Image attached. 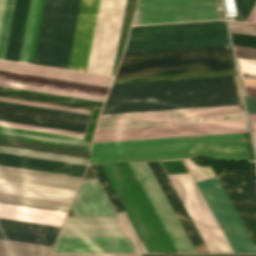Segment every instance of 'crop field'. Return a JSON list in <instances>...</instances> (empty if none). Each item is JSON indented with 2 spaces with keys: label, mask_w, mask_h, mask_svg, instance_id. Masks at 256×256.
Instances as JSON below:
<instances>
[{
  "label": "crop field",
  "mask_w": 256,
  "mask_h": 256,
  "mask_svg": "<svg viewBox=\"0 0 256 256\" xmlns=\"http://www.w3.org/2000/svg\"><path fill=\"white\" fill-rule=\"evenodd\" d=\"M229 45L224 20L131 27L125 52ZM234 69L230 46L125 53L116 77Z\"/></svg>",
  "instance_id": "1"
},
{
  "label": "crop field",
  "mask_w": 256,
  "mask_h": 256,
  "mask_svg": "<svg viewBox=\"0 0 256 256\" xmlns=\"http://www.w3.org/2000/svg\"><path fill=\"white\" fill-rule=\"evenodd\" d=\"M101 167L148 252H195L146 163Z\"/></svg>",
  "instance_id": "2"
},
{
  "label": "crop field",
  "mask_w": 256,
  "mask_h": 256,
  "mask_svg": "<svg viewBox=\"0 0 256 256\" xmlns=\"http://www.w3.org/2000/svg\"><path fill=\"white\" fill-rule=\"evenodd\" d=\"M243 105L102 115L94 143L248 132Z\"/></svg>",
  "instance_id": "3"
},
{
  "label": "crop field",
  "mask_w": 256,
  "mask_h": 256,
  "mask_svg": "<svg viewBox=\"0 0 256 256\" xmlns=\"http://www.w3.org/2000/svg\"><path fill=\"white\" fill-rule=\"evenodd\" d=\"M240 104L234 76L112 84L102 114Z\"/></svg>",
  "instance_id": "4"
},
{
  "label": "crop field",
  "mask_w": 256,
  "mask_h": 256,
  "mask_svg": "<svg viewBox=\"0 0 256 256\" xmlns=\"http://www.w3.org/2000/svg\"><path fill=\"white\" fill-rule=\"evenodd\" d=\"M213 157L249 160L243 133L94 144L90 163Z\"/></svg>",
  "instance_id": "5"
},
{
  "label": "crop field",
  "mask_w": 256,
  "mask_h": 256,
  "mask_svg": "<svg viewBox=\"0 0 256 256\" xmlns=\"http://www.w3.org/2000/svg\"><path fill=\"white\" fill-rule=\"evenodd\" d=\"M80 1H45L33 63L67 69Z\"/></svg>",
  "instance_id": "6"
},
{
  "label": "crop field",
  "mask_w": 256,
  "mask_h": 256,
  "mask_svg": "<svg viewBox=\"0 0 256 256\" xmlns=\"http://www.w3.org/2000/svg\"><path fill=\"white\" fill-rule=\"evenodd\" d=\"M126 0H100L86 72L111 76Z\"/></svg>",
  "instance_id": "7"
},
{
  "label": "crop field",
  "mask_w": 256,
  "mask_h": 256,
  "mask_svg": "<svg viewBox=\"0 0 256 256\" xmlns=\"http://www.w3.org/2000/svg\"><path fill=\"white\" fill-rule=\"evenodd\" d=\"M217 0H139L132 25L221 19Z\"/></svg>",
  "instance_id": "8"
},
{
  "label": "crop field",
  "mask_w": 256,
  "mask_h": 256,
  "mask_svg": "<svg viewBox=\"0 0 256 256\" xmlns=\"http://www.w3.org/2000/svg\"><path fill=\"white\" fill-rule=\"evenodd\" d=\"M209 252H233L191 174L168 176Z\"/></svg>",
  "instance_id": "9"
},
{
  "label": "crop field",
  "mask_w": 256,
  "mask_h": 256,
  "mask_svg": "<svg viewBox=\"0 0 256 256\" xmlns=\"http://www.w3.org/2000/svg\"><path fill=\"white\" fill-rule=\"evenodd\" d=\"M29 0H16L4 59L17 61ZM44 0H31L18 61L32 63Z\"/></svg>",
  "instance_id": "10"
},
{
  "label": "crop field",
  "mask_w": 256,
  "mask_h": 256,
  "mask_svg": "<svg viewBox=\"0 0 256 256\" xmlns=\"http://www.w3.org/2000/svg\"><path fill=\"white\" fill-rule=\"evenodd\" d=\"M218 180L256 246L255 171L223 170Z\"/></svg>",
  "instance_id": "11"
},
{
  "label": "crop field",
  "mask_w": 256,
  "mask_h": 256,
  "mask_svg": "<svg viewBox=\"0 0 256 256\" xmlns=\"http://www.w3.org/2000/svg\"><path fill=\"white\" fill-rule=\"evenodd\" d=\"M234 252H256V248L219 183L199 188Z\"/></svg>",
  "instance_id": "12"
},
{
  "label": "crop field",
  "mask_w": 256,
  "mask_h": 256,
  "mask_svg": "<svg viewBox=\"0 0 256 256\" xmlns=\"http://www.w3.org/2000/svg\"><path fill=\"white\" fill-rule=\"evenodd\" d=\"M0 165L52 172V173H59V174L72 175V176H79V177L83 176V174L81 173L43 168V167H37V166H30V165L11 163V162H5V161H0ZM79 177L55 175V174H48V173L0 166V179L67 188V189H73V190L77 189L81 181V178ZM7 180H2V181H7ZM13 181H9V182H13ZM20 182H16V183H20ZM27 183H23V184H27ZM33 184H30V185H33ZM40 185H36V186H40ZM47 186H42V187H47ZM53 187H48V188H53ZM60 188H54V189H60ZM67 189H60V190L75 192L73 190H67Z\"/></svg>",
  "instance_id": "13"
},
{
  "label": "crop field",
  "mask_w": 256,
  "mask_h": 256,
  "mask_svg": "<svg viewBox=\"0 0 256 256\" xmlns=\"http://www.w3.org/2000/svg\"><path fill=\"white\" fill-rule=\"evenodd\" d=\"M0 191L71 202L74 194L59 190L0 182ZM0 192V201L67 211L70 203Z\"/></svg>",
  "instance_id": "14"
},
{
  "label": "crop field",
  "mask_w": 256,
  "mask_h": 256,
  "mask_svg": "<svg viewBox=\"0 0 256 256\" xmlns=\"http://www.w3.org/2000/svg\"><path fill=\"white\" fill-rule=\"evenodd\" d=\"M0 152L86 165L88 157L0 144ZM0 153V159L84 172L86 166Z\"/></svg>",
  "instance_id": "15"
},
{
  "label": "crop field",
  "mask_w": 256,
  "mask_h": 256,
  "mask_svg": "<svg viewBox=\"0 0 256 256\" xmlns=\"http://www.w3.org/2000/svg\"><path fill=\"white\" fill-rule=\"evenodd\" d=\"M99 0H82L68 69L86 70Z\"/></svg>",
  "instance_id": "16"
},
{
  "label": "crop field",
  "mask_w": 256,
  "mask_h": 256,
  "mask_svg": "<svg viewBox=\"0 0 256 256\" xmlns=\"http://www.w3.org/2000/svg\"><path fill=\"white\" fill-rule=\"evenodd\" d=\"M51 252H136L129 237H58Z\"/></svg>",
  "instance_id": "17"
},
{
  "label": "crop field",
  "mask_w": 256,
  "mask_h": 256,
  "mask_svg": "<svg viewBox=\"0 0 256 256\" xmlns=\"http://www.w3.org/2000/svg\"><path fill=\"white\" fill-rule=\"evenodd\" d=\"M58 236H127L115 217H67Z\"/></svg>",
  "instance_id": "18"
},
{
  "label": "crop field",
  "mask_w": 256,
  "mask_h": 256,
  "mask_svg": "<svg viewBox=\"0 0 256 256\" xmlns=\"http://www.w3.org/2000/svg\"><path fill=\"white\" fill-rule=\"evenodd\" d=\"M196 252H208L159 162L147 163Z\"/></svg>",
  "instance_id": "19"
},
{
  "label": "crop field",
  "mask_w": 256,
  "mask_h": 256,
  "mask_svg": "<svg viewBox=\"0 0 256 256\" xmlns=\"http://www.w3.org/2000/svg\"><path fill=\"white\" fill-rule=\"evenodd\" d=\"M72 209L76 216H116L97 179L83 182Z\"/></svg>",
  "instance_id": "20"
},
{
  "label": "crop field",
  "mask_w": 256,
  "mask_h": 256,
  "mask_svg": "<svg viewBox=\"0 0 256 256\" xmlns=\"http://www.w3.org/2000/svg\"><path fill=\"white\" fill-rule=\"evenodd\" d=\"M60 228L0 219V238L51 246Z\"/></svg>",
  "instance_id": "21"
},
{
  "label": "crop field",
  "mask_w": 256,
  "mask_h": 256,
  "mask_svg": "<svg viewBox=\"0 0 256 256\" xmlns=\"http://www.w3.org/2000/svg\"><path fill=\"white\" fill-rule=\"evenodd\" d=\"M0 70L109 87L113 78L0 60Z\"/></svg>",
  "instance_id": "22"
},
{
  "label": "crop field",
  "mask_w": 256,
  "mask_h": 256,
  "mask_svg": "<svg viewBox=\"0 0 256 256\" xmlns=\"http://www.w3.org/2000/svg\"><path fill=\"white\" fill-rule=\"evenodd\" d=\"M9 76V78H7ZM0 80L105 97L109 88L0 71Z\"/></svg>",
  "instance_id": "23"
},
{
  "label": "crop field",
  "mask_w": 256,
  "mask_h": 256,
  "mask_svg": "<svg viewBox=\"0 0 256 256\" xmlns=\"http://www.w3.org/2000/svg\"><path fill=\"white\" fill-rule=\"evenodd\" d=\"M0 143L66 152L85 156H87L90 146L87 144L54 140L2 131H0Z\"/></svg>",
  "instance_id": "24"
},
{
  "label": "crop field",
  "mask_w": 256,
  "mask_h": 256,
  "mask_svg": "<svg viewBox=\"0 0 256 256\" xmlns=\"http://www.w3.org/2000/svg\"><path fill=\"white\" fill-rule=\"evenodd\" d=\"M6 203V202H5ZM0 203V218L60 227L66 213Z\"/></svg>",
  "instance_id": "25"
},
{
  "label": "crop field",
  "mask_w": 256,
  "mask_h": 256,
  "mask_svg": "<svg viewBox=\"0 0 256 256\" xmlns=\"http://www.w3.org/2000/svg\"><path fill=\"white\" fill-rule=\"evenodd\" d=\"M93 170L95 171L100 183L102 184L107 196L109 197L112 205L114 206L116 212L118 211H122L123 208L118 200V198L116 197L111 185L109 184L105 174L103 173L100 165H91ZM122 221V223L124 224L125 228L127 229L136 249L138 250V252H147L145 246L143 245L140 237L138 236L136 230L134 229L131 221L129 220L127 214L125 211L123 212H119L117 213Z\"/></svg>",
  "instance_id": "26"
},
{
  "label": "crop field",
  "mask_w": 256,
  "mask_h": 256,
  "mask_svg": "<svg viewBox=\"0 0 256 256\" xmlns=\"http://www.w3.org/2000/svg\"><path fill=\"white\" fill-rule=\"evenodd\" d=\"M0 120L84 133L86 125L0 112Z\"/></svg>",
  "instance_id": "27"
},
{
  "label": "crop field",
  "mask_w": 256,
  "mask_h": 256,
  "mask_svg": "<svg viewBox=\"0 0 256 256\" xmlns=\"http://www.w3.org/2000/svg\"><path fill=\"white\" fill-rule=\"evenodd\" d=\"M50 247L0 239V256H46Z\"/></svg>",
  "instance_id": "28"
},
{
  "label": "crop field",
  "mask_w": 256,
  "mask_h": 256,
  "mask_svg": "<svg viewBox=\"0 0 256 256\" xmlns=\"http://www.w3.org/2000/svg\"><path fill=\"white\" fill-rule=\"evenodd\" d=\"M227 75H236V74H235L234 70H227V71H212V72H197V73L122 77V78H115L113 83L150 81V80H165V79H181V78H196V77H211V76H227Z\"/></svg>",
  "instance_id": "29"
},
{
  "label": "crop field",
  "mask_w": 256,
  "mask_h": 256,
  "mask_svg": "<svg viewBox=\"0 0 256 256\" xmlns=\"http://www.w3.org/2000/svg\"><path fill=\"white\" fill-rule=\"evenodd\" d=\"M240 75L244 79L256 80V49L234 46Z\"/></svg>",
  "instance_id": "30"
},
{
  "label": "crop field",
  "mask_w": 256,
  "mask_h": 256,
  "mask_svg": "<svg viewBox=\"0 0 256 256\" xmlns=\"http://www.w3.org/2000/svg\"><path fill=\"white\" fill-rule=\"evenodd\" d=\"M231 32L256 35V25L229 21ZM231 33L233 43L237 46L256 48V36Z\"/></svg>",
  "instance_id": "31"
},
{
  "label": "crop field",
  "mask_w": 256,
  "mask_h": 256,
  "mask_svg": "<svg viewBox=\"0 0 256 256\" xmlns=\"http://www.w3.org/2000/svg\"><path fill=\"white\" fill-rule=\"evenodd\" d=\"M14 0H0V59H3Z\"/></svg>",
  "instance_id": "32"
},
{
  "label": "crop field",
  "mask_w": 256,
  "mask_h": 256,
  "mask_svg": "<svg viewBox=\"0 0 256 256\" xmlns=\"http://www.w3.org/2000/svg\"><path fill=\"white\" fill-rule=\"evenodd\" d=\"M0 86L104 102L105 98L0 82Z\"/></svg>",
  "instance_id": "33"
},
{
  "label": "crop field",
  "mask_w": 256,
  "mask_h": 256,
  "mask_svg": "<svg viewBox=\"0 0 256 256\" xmlns=\"http://www.w3.org/2000/svg\"><path fill=\"white\" fill-rule=\"evenodd\" d=\"M0 111L18 113V114H24V115H31V116H37V117H44V118H51V119H57V120H64V121H70V122H77V123H83V124H86L88 121L85 119L65 117V116L39 113V112H33V111H26V110H19V109L6 108V107H0Z\"/></svg>",
  "instance_id": "34"
},
{
  "label": "crop field",
  "mask_w": 256,
  "mask_h": 256,
  "mask_svg": "<svg viewBox=\"0 0 256 256\" xmlns=\"http://www.w3.org/2000/svg\"><path fill=\"white\" fill-rule=\"evenodd\" d=\"M0 106L33 110V111L46 112V113L59 114V115L72 116V117H79V118H85V119H88V117H89V115H86V114L66 112V111L40 108V107H34V106H27V105H20V104L7 103V102H1V101H0Z\"/></svg>",
  "instance_id": "35"
},
{
  "label": "crop field",
  "mask_w": 256,
  "mask_h": 256,
  "mask_svg": "<svg viewBox=\"0 0 256 256\" xmlns=\"http://www.w3.org/2000/svg\"><path fill=\"white\" fill-rule=\"evenodd\" d=\"M0 96H6V97H12V98H18V99H25V100H31V101H37V102H44V103H50V104H56V105H63V106H69V107H76V108H82V109H88V110H91V108H92V106H89V105L69 103V102L56 101V100H49V99L23 96V95H16V94L3 93V92H0Z\"/></svg>",
  "instance_id": "36"
},
{
  "label": "crop field",
  "mask_w": 256,
  "mask_h": 256,
  "mask_svg": "<svg viewBox=\"0 0 256 256\" xmlns=\"http://www.w3.org/2000/svg\"><path fill=\"white\" fill-rule=\"evenodd\" d=\"M245 95L256 96V81L241 79ZM245 96L248 112L256 113V97Z\"/></svg>",
  "instance_id": "37"
},
{
  "label": "crop field",
  "mask_w": 256,
  "mask_h": 256,
  "mask_svg": "<svg viewBox=\"0 0 256 256\" xmlns=\"http://www.w3.org/2000/svg\"><path fill=\"white\" fill-rule=\"evenodd\" d=\"M0 125L83 138L84 134L0 121Z\"/></svg>",
  "instance_id": "38"
},
{
  "label": "crop field",
  "mask_w": 256,
  "mask_h": 256,
  "mask_svg": "<svg viewBox=\"0 0 256 256\" xmlns=\"http://www.w3.org/2000/svg\"><path fill=\"white\" fill-rule=\"evenodd\" d=\"M0 100L1 101L14 102V103L27 104V105L40 106V107L54 108V109H60V110H67V111H73V112H80V113H86V114L90 113V111H88V110L69 108V107H63V106H56V105L37 103V102H31V101H25V100H18V99H12V98L0 97Z\"/></svg>",
  "instance_id": "39"
},
{
  "label": "crop field",
  "mask_w": 256,
  "mask_h": 256,
  "mask_svg": "<svg viewBox=\"0 0 256 256\" xmlns=\"http://www.w3.org/2000/svg\"><path fill=\"white\" fill-rule=\"evenodd\" d=\"M256 0H235L238 15L235 20L245 21Z\"/></svg>",
  "instance_id": "40"
},
{
  "label": "crop field",
  "mask_w": 256,
  "mask_h": 256,
  "mask_svg": "<svg viewBox=\"0 0 256 256\" xmlns=\"http://www.w3.org/2000/svg\"><path fill=\"white\" fill-rule=\"evenodd\" d=\"M0 130H7V131H13V132H20V133H26V134H33V135H39V136L52 137V138L72 140V141H78V142L82 141V139H80V138L67 137V136H61V135H54V134H48V133H41V132H34V131L21 130V129H15V128H8V127H2V126H0Z\"/></svg>",
  "instance_id": "41"
},
{
  "label": "crop field",
  "mask_w": 256,
  "mask_h": 256,
  "mask_svg": "<svg viewBox=\"0 0 256 256\" xmlns=\"http://www.w3.org/2000/svg\"><path fill=\"white\" fill-rule=\"evenodd\" d=\"M49 256H138L137 253H50Z\"/></svg>",
  "instance_id": "42"
},
{
  "label": "crop field",
  "mask_w": 256,
  "mask_h": 256,
  "mask_svg": "<svg viewBox=\"0 0 256 256\" xmlns=\"http://www.w3.org/2000/svg\"><path fill=\"white\" fill-rule=\"evenodd\" d=\"M142 256H256V255H213V254H141Z\"/></svg>",
  "instance_id": "43"
},
{
  "label": "crop field",
  "mask_w": 256,
  "mask_h": 256,
  "mask_svg": "<svg viewBox=\"0 0 256 256\" xmlns=\"http://www.w3.org/2000/svg\"><path fill=\"white\" fill-rule=\"evenodd\" d=\"M246 21L248 22H256V4L254 8L252 9L251 13L247 17Z\"/></svg>",
  "instance_id": "44"
},
{
  "label": "crop field",
  "mask_w": 256,
  "mask_h": 256,
  "mask_svg": "<svg viewBox=\"0 0 256 256\" xmlns=\"http://www.w3.org/2000/svg\"><path fill=\"white\" fill-rule=\"evenodd\" d=\"M250 115H251L250 120H251L252 129L256 130V114L250 113Z\"/></svg>",
  "instance_id": "45"
},
{
  "label": "crop field",
  "mask_w": 256,
  "mask_h": 256,
  "mask_svg": "<svg viewBox=\"0 0 256 256\" xmlns=\"http://www.w3.org/2000/svg\"><path fill=\"white\" fill-rule=\"evenodd\" d=\"M254 139L256 140V131H253ZM256 145V143H255Z\"/></svg>",
  "instance_id": "46"
}]
</instances>
